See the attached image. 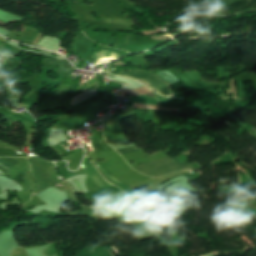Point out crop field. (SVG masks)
<instances>
[{
	"label": "crop field",
	"mask_w": 256,
	"mask_h": 256,
	"mask_svg": "<svg viewBox=\"0 0 256 256\" xmlns=\"http://www.w3.org/2000/svg\"><path fill=\"white\" fill-rule=\"evenodd\" d=\"M133 169L150 176H164L171 172L185 169H192L190 165H180L174 160L166 157L154 162L144 163L141 166L134 167Z\"/></svg>",
	"instance_id": "1"
},
{
	"label": "crop field",
	"mask_w": 256,
	"mask_h": 256,
	"mask_svg": "<svg viewBox=\"0 0 256 256\" xmlns=\"http://www.w3.org/2000/svg\"><path fill=\"white\" fill-rule=\"evenodd\" d=\"M121 75H125L131 78H135L141 81H145L149 83V88L152 90L158 92L161 95H170V91L168 89V85L165 81L161 79V77L155 75V74H142L137 72H122Z\"/></svg>",
	"instance_id": "2"
},
{
	"label": "crop field",
	"mask_w": 256,
	"mask_h": 256,
	"mask_svg": "<svg viewBox=\"0 0 256 256\" xmlns=\"http://www.w3.org/2000/svg\"><path fill=\"white\" fill-rule=\"evenodd\" d=\"M82 164L85 167L84 169L89 173L90 177L95 181L96 184H98L102 188L112 186L99 175V173L96 171L93 165L89 162L86 156Z\"/></svg>",
	"instance_id": "3"
},
{
	"label": "crop field",
	"mask_w": 256,
	"mask_h": 256,
	"mask_svg": "<svg viewBox=\"0 0 256 256\" xmlns=\"http://www.w3.org/2000/svg\"><path fill=\"white\" fill-rule=\"evenodd\" d=\"M45 61H47L50 64H56L59 65L57 73L67 77L68 75H70L71 72L74 71V68L70 66V64L65 63V62H61L52 58H45Z\"/></svg>",
	"instance_id": "4"
},
{
	"label": "crop field",
	"mask_w": 256,
	"mask_h": 256,
	"mask_svg": "<svg viewBox=\"0 0 256 256\" xmlns=\"http://www.w3.org/2000/svg\"><path fill=\"white\" fill-rule=\"evenodd\" d=\"M131 101L132 102H140V103H148V104H153V105H158V102L156 98L150 97V96H131Z\"/></svg>",
	"instance_id": "5"
},
{
	"label": "crop field",
	"mask_w": 256,
	"mask_h": 256,
	"mask_svg": "<svg viewBox=\"0 0 256 256\" xmlns=\"http://www.w3.org/2000/svg\"><path fill=\"white\" fill-rule=\"evenodd\" d=\"M100 171L113 183L123 187L130 195L132 194V190L127 187L126 185L118 182L116 179H114L112 176H110L103 168H100Z\"/></svg>",
	"instance_id": "6"
},
{
	"label": "crop field",
	"mask_w": 256,
	"mask_h": 256,
	"mask_svg": "<svg viewBox=\"0 0 256 256\" xmlns=\"http://www.w3.org/2000/svg\"><path fill=\"white\" fill-rule=\"evenodd\" d=\"M158 101H159L160 106H170V107L177 106V104H162L161 102H165V103H177L176 101H170V100H167V99H165V98H158Z\"/></svg>",
	"instance_id": "7"
},
{
	"label": "crop field",
	"mask_w": 256,
	"mask_h": 256,
	"mask_svg": "<svg viewBox=\"0 0 256 256\" xmlns=\"http://www.w3.org/2000/svg\"><path fill=\"white\" fill-rule=\"evenodd\" d=\"M133 147L135 146H132V147H128V148H124V149H120V150H116L118 153H120L121 155L123 154H127V153H130V152H134V151H137L138 149H134ZM144 149V148H143ZM141 150V149H139Z\"/></svg>",
	"instance_id": "8"
},
{
	"label": "crop field",
	"mask_w": 256,
	"mask_h": 256,
	"mask_svg": "<svg viewBox=\"0 0 256 256\" xmlns=\"http://www.w3.org/2000/svg\"><path fill=\"white\" fill-rule=\"evenodd\" d=\"M0 163H2V164H4V165H6L7 167H9V168H11L12 166L11 165H9V164H7V163H5L4 161H2V160H0Z\"/></svg>",
	"instance_id": "9"
},
{
	"label": "crop field",
	"mask_w": 256,
	"mask_h": 256,
	"mask_svg": "<svg viewBox=\"0 0 256 256\" xmlns=\"http://www.w3.org/2000/svg\"><path fill=\"white\" fill-rule=\"evenodd\" d=\"M160 110H163V109H160ZM165 111H168V110H165Z\"/></svg>",
	"instance_id": "10"
},
{
	"label": "crop field",
	"mask_w": 256,
	"mask_h": 256,
	"mask_svg": "<svg viewBox=\"0 0 256 256\" xmlns=\"http://www.w3.org/2000/svg\"><path fill=\"white\" fill-rule=\"evenodd\" d=\"M148 211V210H147ZM144 212V211H143ZM140 213V212H139Z\"/></svg>",
	"instance_id": "11"
}]
</instances>
